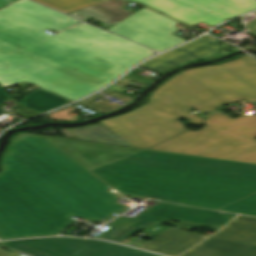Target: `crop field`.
<instances>
[{
	"instance_id": "1",
	"label": "crop field",
	"mask_w": 256,
	"mask_h": 256,
	"mask_svg": "<svg viewBox=\"0 0 256 256\" xmlns=\"http://www.w3.org/2000/svg\"><path fill=\"white\" fill-rule=\"evenodd\" d=\"M1 239L109 221L118 193L256 216V164L20 133L1 158ZM73 224V223H72Z\"/></svg>"
},
{
	"instance_id": "2",
	"label": "crop field",
	"mask_w": 256,
	"mask_h": 256,
	"mask_svg": "<svg viewBox=\"0 0 256 256\" xmlns=\"http://www.w3.org/2000/svg\"><path fill=\"white\" fill-rule=\"evenodd\" d=\"M30 0L0 10V85L25 81L72 101L155 54Z\"/></svg>"
},
{
	"instance_id": "3",
	"label": "crop field",
	"mask_w": 256,
	"mask_h": 256,
	"mask_svg": "<svg viewBox=\"0 0 256 256\" xmlns=\"http://www.w3.org/2000/svg\"><path fill=\"white\" fill-rule=\"evenodd\" d=\"M191 105L216 111L224 103L177 73L151 93L148 104L100 122L132 145L149 147L186 130L179 119L201 125L203 119L188 112Z\"/></svg>"
},
{
	"instance_id": "4",
	"label": "crop field",
	"mask_w": 256,
	"mask_h": 256,
	"mask_svg": "<svg viewBox=\"0 0 256 256\" xmlns=\"http://www.w3.org/2000/svg\"><path fill=\"white\" fill-rule=\"evenodd\" d=\"M242 115L232 119L214 113L204 121L208 127L172 137L151 149L256 163V115Z\"/></svg>"
},
{
	"instance_id": "5",
	"label": "crop field",
	"mask_w": 256,
	"mask_h": 256,
	"mask_svg": "<svg viewBox=\"0 0 256 256\" xmlns=\"http://www.w3.org/2000/svg\"><path fill=\"white\" fill-rule=\"evenodd\" d=\"M67 13L107 0H35ZM191 26L202 21L212 26L256 9L255 0H132Z\"/></svg>"
},
{
	"instance_id": "6",
	"label": "crop field",
	"mask_w": 256,
	"mask_h": 256,
	"mask_svg": "<svg viewBox=\"0 0 256 256\" xmlns=\"http://www.w3.org/2000/svg\"><path fill=\"white\" fill-rule=\"evenodd\" d=\"M235 215L159 203L145 210L134 219L119 217L107 223L106 225L111 226V228L96 237L120 243L143 229L154 236L169 228V226H161L162 223L168 220L220 228ZM153 222L156 224H152Z\"/></svg>"
},
{
	"instance_id": "7",
	"label": "crop field",
	"mask_w": 256,
	"mask_h": 256,
	"mask_svg": "<svg viewBox=\"0 0 256 256\" xmlns=\"http://www.w3.org/2000/svg\"><path fill=\"white\" fill-rule=\"evenodd\" d=\"M180 73L226 104L243 98L248 102L256 100V61L247 55Z\"/></svg>"
},
{
	"instance_id": "8",
	"label": "crop field",
	"mask_w": 256,
	"mask_h": 256,
	"mask_svg": "<svg viewBox=\"0 0 256 256\" xmlns=\"http://www.w3.org/2000/svg\"><path fill=\"white\" fill-rule=\"evenodd\" d=\"M0 244L33 256H157L104 241L66 237L15 240Z\"/></svg>"
},
{
	"instance_id": "9",
	"label": "crop field",
	"mask_w": 256,
	"mask_h": 256,
	"mask_svg": "<svg viewBox=\"0 0 256 256\" xmlns=\"http://www.w3.org/2000/svg\"><path fill=\"white\" fill-rule=\"evenodd\" d=\"M176 23L144 8L108 30L161 52L185 41L170 34L177 29Z\"/></svg>"
},
{
	"instance_id": "10",
	"label": "crop field",
	"mask_w": 256,
	"mask_h": 256,
	"mask_svg": "<svg viewBox=\"0 0 256 256\" xmlns=\"http://www.w3.org/2000/svg\"><path fill=\"white\" fill-rule=\"evenodd\" d=\"M216 50V39L206 35L175 50L152 58L142 63L139 67L159 73L188 61L207 57L216 52Z\"/></svg>"
},
{
	"instance_id": "11",
	"label": "crop field",
	"mask_w": 256,
	"mask_h": 256,
	"mask_svg": "<svg viewBox=\"0 0 256 256\" xmlns=\"http://www.w3.org/2000/svg\"><path fill=\"white\" fill-rule=\"evenodd\" d=\"M206 237L207 235L171 227L139 248L177 256Z\"/></svg>"
},
{
	"instance_id": "12",
	"label": "crop field",
	"mask_w": 256,
	"mask_h": 256,
	"mask_svg": "<svg viewBox=\"0 0 256 256\" xmlns=\"http://www.w3.org/2000/svg\"><path fill=\"white\" fill-rule=\"evenodd\" d=\"M214 237L251 245L235 256H256V218L237 216Z\"/></svg>"
},
{
	"instance_id": "13",
	"label": "crop field",
	"mask_w": 256,
	"mask_h": 256,
	"mask_svg": "<svg viewBox=\"0 0 256 256\" xmlns=\"http://www.w3.org/2000/svg\"><path fill=\"white\" fill-rule=\"evenodd\" d=\"M248 245L211 237L181 256H233Z\"/></svg>"
},
{
	"instance_id": "14",
	"label": "crop field",
	"mask_w": 256,
	"mask_h": 256,
	"mask_svg": "<svg viewBox=\"0 0 256 256\" xmlns=\"http://www.w3.org/2000/svg\"><path fill=\"white\" fill-rule=\"evenodd\" d=\"M128 2L127 0H110L78 11L113 26L115 23L132 14L119 8Z\"/></svg>"
},
{
	"instance_id": "15",
	"label": "crop field",
	"mask_w": 256,
	"mask_h": 256,
	"mask_svg": "<svg viewBox=\"0 0 256 256\" xmlns=\"http://www.w3.org/2000/svg\"><path fill=\"white\" fill-rule=\"evenodd\" d=\"M22 104L38 113L48 111L71 101L53 95L40 88L34 90L21 100Z\"/></svg>"
},
{
	"instance_id": "16",
	"label": "crop field",
	"mask_w": 256,
	"mask_h": 256,
	"mask_svg": "<svg viewBox=\"0 0 256 256\" xmlns=\"http://www.w3.org/2000/svg\"><path fill=\"white\" fill-rule=\"evenodd\" d=\"M69 131L78 136L80 139L84 140L131 145L122 138H120L118 135L107 129L101 123L86 127L74 128L70 129Z\"/></svg>"
},
{
	"instance_id": "17",
	"label": "crop field",
	"mask_w": 256,
	"mask_h": 256,
	"mask_svg": "<svg viewBox=\"0 0 256 256\" xmlns=\"http://www.w3.org/2000/svg\"><path fill=\"white\" fill-rule=\"evenodd\" d=\"M76 108L70 106L62 111H58L55 113H51L47 116L57 120V121H74V120H78L77 118L69 115L71 112H73Z\"/></svg>"
},
{
	"instance_id": "18",
	"label": "crop field",
	"mask_w": 256,
	"mask_h": 256,
	"mask_svg": "<svg viewBox=\"0 0 256 256\" xmlns=\"http://www.w3.org/2000/svg\"><path fill=\"white\" fill-rule=\"evenodd\" d=\"M125 77L134 79L136 81H139V82H142V83H145V84H149L150 82H152V80H149V79H146V78H143V77L131 74V73L127 74Z\"/></svg>"
},
{
	"instance_id": "19",
	"label": "crop field",
	"mask_w": 256,
	"mask_h": 256,
	"mask_svg": "<svg viewBox=\"0 0 256 256\" xmlns=\"http://www.w3.org/2000/svg\"><path fill=\"white\" fill-rule=\"evenodd\" d=\"M118 82L123 83V84H126V85H128V86L133 85V84H131L132 82H135V83L140 84V85H139L140 87L145 86V84L136 82V81H134V80H131V79H128V78H125V77L121 78Z\"/></svg>"
},
{
	"instance_id": "20",
	"label": "crop field",
	"mask_w": 256,
	"mask_h": 256,
	"mask_svg": "<svg viewBox=\"0 0 256 256\" xmlns=\"http://www.w3.org/2000/svg\"><path fill=\"white\" fill-rule=\"evenodd\" d=\"M255 14H256V12H255ZM246 28L249 32L256 35V20L246 24Z\"/></svg>"
},
{
	"instance_id": "21",
	"label": "crop field",
	"mask_w": 256,
	"mask_h": 256,
	"mask_svg": "<svg viewBox=\"0 0 256 256\" xmlns=\"http://www.w3.org/2000/svg\"><path fill=\"white\" fill-rule=\"evenodd\" d=\"M20 253L17 252H8L0 248V256H18Z\"/></svg>"
},
{
	"instance_id": "22",
	"label": "crop field",
	"mask_w": 256,
	"mask_h": 256,
	"mask_svg": "<svg viewBox=\"0 0 256 256\" xmlns=\"http://www.w3.org/2000/svg\"><path fill=\"white\" fill-rule=\"evenodd\" d=\"M7 98H9L1 89H0V103L3 102L4 100H6ZM6 112L5 110L0 108V114Z\"/></svg>"
},
{
	"instance_id": "23",
	"label": "crop field",
	"mask_w": 256,
	"mask_h": 256,
	"mask_svg": "<svg viewBox=\"0 0 256 256\" xmlns=\"http://www.w3.org/2000/svg\"><path fill=\"white\" fill-rule=\"evenodd\" d=\"M17 0H0V9L15 2Z\"/></svg>"
},
{
	"instance_id": "24",
	"label": "crop field",
	"mask_w": 256,
	"mask_h": 256,
	"mask_svg": "<svg viewBox=\"0 0 256 256\" xmlns=\"http://www.w3.org/2000/svg\"><path fill=\"white\" fill-rule=\"evenodd\" d=\"M109 89L116 90V91H119V92L125 90V89H123V88H121V87H119V86H117V85H115V84L111 85V86L109 87Z\"/></svg>"
},
{
	"instance_id": "25",
	"label": "crop field",
	"mask_w": 256,
	"mask_h": 256,
	"mask_svg": "<svg viewBox=\"0 0 256 256\" xmlns=\"http://www.w3.org/2000/svg\"><path fill=\"white\" fill-rule=\"evenodd\" d=\"M115 84H118V85H122V86L128 87V86H126V85H123V84H120V83H118V82H116Z\"/></svg>"
},
{
	"instance_id": "26",
	"label": "crop field",
	"mask_w": 256,
	"mask_h": 256,
	"mask_svg": "<svg viewBox=\"0 0 256 256\" xmlns=\"http://www.w3.org/2000/svg\"><path fill=\"white\" fill-rule=\"evenodd\" d=\"M256 106V103H253Z\"/></svg>"
}]
</instances>
